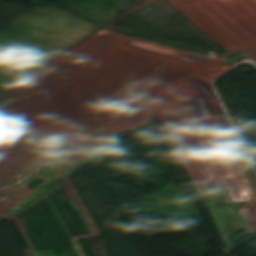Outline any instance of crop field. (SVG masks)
<instances>
[{
	"label": "crop field",
	"mask_w": 256,
	"mask_h": 256,
	"mask_svg": "<svg viewBox=\"0 0 256 256\" xmlns=\"http://www.w3.org/2000/svg\"><path fill=\"white\" fill-rule=\"evenodd\" d=\"M251 247H253L254 249H256V240L252 241L251 243L247 244Z\"/></svg>",
	"instance_id": "crop-field-1"
}]
</instances>
